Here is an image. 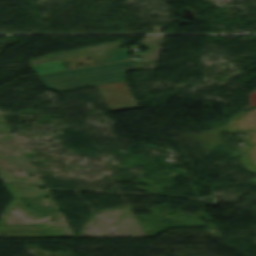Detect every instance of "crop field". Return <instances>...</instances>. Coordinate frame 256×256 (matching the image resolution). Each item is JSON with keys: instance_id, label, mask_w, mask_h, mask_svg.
Listing matches in <instances>:
<instances>
[{"instance_id": "3", "label": "crop field", "mask_w": 256, "mask_h": 256, "mask_svg": "<svg viewBox=\"0 0 256 256\" xmlns=\"http://www.w3.org/2000/svg\"><path fill=\"white\" fill-rule=\"evenodd\" d=\"M110 53L112 54L111 57L109 59L104 60L105 62L128 58L126 55L128 53L126 49L111 51Z\"/></svg>"}, {"instance_id": "2", "label": "crop field", "mask_w": 256, "mask_h": 256, "mask_svg": "<svg viewBox=\"0 0 256 256\" xmlns=\"http://www.w3.org/2000/svg\"><path fill=\"white\" fill-rule=\"evenodd\" d=\"M31 67L36 72L37 75L67 70L61 61L33 65Z\"/></svg>"}, {"instance_id": "1", "label": "crop field", "mask_w": 256, "mask_h": 256, "mask_svg": "<svg viewBox=\"0 0 256 256\" xmlns=\"http://www.w3.org/2000/svg\"><path fill=\"white\" fill-rule=\"evenodd\" d=\"M131 60L38 76L47 88L57 92L94 86L111 111L137 107L125 86L124 65Z\"/></svg>"}]
</instances>
